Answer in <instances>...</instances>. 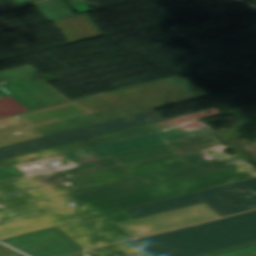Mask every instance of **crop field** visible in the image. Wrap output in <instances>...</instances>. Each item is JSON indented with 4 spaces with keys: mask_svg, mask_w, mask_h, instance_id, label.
Returning a JSON list of instances; mask_svg holds the SVG:
<instances>
[{
    "mask_svg": "<svg viewBox=\"0 0 256 256\" xmlns=\"http://www.w3.org/2000/svg\"><path fill=\"white\" fill-rule=\"evenodd\" d=\"M212 134L166 144L133 153L76 165L60 172L71 179L60 183L2 197L0 209L23 205L87 188L109 184L142 175L161 172L189 164L179 155L192 150L220 144ZM51 187L58 188L57 194ZM55 188V189H56ZM50 189V190H49Z\"/></svg>",
    "mask_w": 256,
    "mask_h": 256,
    "instance_id": "crop-field-1",
    "label": "crop field"
},
{
    "mask_svg": "<svg viewBox=\"0 0 256 256\" xmlns=\"http://www.w3.org/2000/svg\"><path fill=\"white\" fill-rule=\"evenodd\" d=\"M256 177L249 163L0 225V240Z\"/></svg>",
    "mask_w": 256,
    "mask_h": 256,
    "instance_id": "crop-field-2",
    "label": "crop field"
},
{
    "mask_svg": "<svg viewBox=\"0 0 256 256\" xmlns=\"http://www.w3.org/2000/svg\"><path fill=\"white\" fill-rule=\"evenodd\" d=\"M229 148H231L237 154L232 156L226 155L223 150ZM181 156L191 166L142 176L19 207L2 210L0 211V224L52 210L70 207L67 204L72 202L78 205L251 161V159L241 149L233 144L228 146H224L223 144H221L181 154Z\"/></svg>",
    "mask_w": 256,
    "mask_h": 256,
    "instance_id": "crop-field-3",
    "label": "crop field"
},
{
    "mask_svg": "<svg viewBox=\"0 0 256 256\" xmlns=\"http://www.w3.org/2000/svg\"><path fill=\"white\" fill-rule=\"evenodd\" d=\"M256 241V211L135 240L152 256H197Z\"/></svg>",
    "mask_w": 256,
    "mask_h": 256,
    "instance_id": "crop-field-4",
    "label": "crop field"
},
{
    "mask_svg": "<svg viewBox=\"0 0 256 256\" xmlns=\"http://www.w3.org/2000/svg\"><path fill=\"white\" fill-rule=\"evenodd\" d=\"M206 129H198L184 133L178 126H173L57 156L3 168L5 170L28 177L30 175L52 171L84 162L133 152L166 143H172L188 138L209 134ZM58 160L59 166H51L47 162Z\"/></svg>",
    "mask_w": 256,
    "mask_h": 256,
    "instance_id": "crop-field-5",
    "label": "crop field"
},
{
    "mask_svg": "<svg viewBox=\"0 0 256 256\" xmlns=\"http://www.w3.org/2000/svg\"><path fill=\"white\" fill-rule=\"evenodd\" d=\"M252 195L251 198H246ZM256 198V178L195 193L192 195L127 210L135 219L181 208L198 203L205 202L221 217L255 209L256 202L244 206L237 207L236 205L244 204L243 202L249 199ZM256 201V200H254ZM253 202V201H250ZM249 203V202H246ZM255 206V207H251ZM251 207V208H248Z\"/></svg>",
    "mask_w": 256,
    "mask_h": 256,
    "instance_id": "crop-field-6",
    "label": "crop field"
},
{
    "mask_svg": "<svg viewBox=\"0 0 256 256\" xmlns=\"http://www.w3.org/2000/svg\"><path fill=\"white\" fill-rule=\"evenodd\" d=\"M157 113L150 111L30 141L0 147V160L13 158L53 147H58L90 138H95L127 129L164 121Z\"/></svg>",
    "mask_w": 256,
    "mask_h": 256,
    "instance_id": "crop-field-7",
    "label": "crop field"
},
{
    "mask_svg": "<svg viewBox=\"0 0 256 256\" xmlns=\"http://www.w3.org/2000/svg\"><path fill=\"white\" fill-rule=\"evenodd\" d=\"M0 119L67 102L35 77L0 85Z\"/></svg>",
    "mask_w": 256,
    "mask_h": 256,
    "instance_id": "crop-field-8",
    "label": "crop field"
},
{
    "mask_svg": "<svg viewBox=\"0 0 256 256\" xmlns=\"http://www.w3.org/2000/svg\"><path fill=\"white\" fill-rule=\"evenodd\" d=\"M133 219L128 213L122 211L58 228L74 240L82 249L87 250L131 239L132 237L115 224Z\"/></svg>",
    "mask_w": 256,
    "mask_h": 256,
    "instance_id": "crop-field-9",
    "label": "crop field"
},
{
    "mask_svg": "<svg viewBox=\"0 0 256 256\" xmlns=\"http://www.w3.org/2000/svg\"><path fill=\"white\" fill-rule=\"evenodd\" d=\"M219 217L210 207L202 203L118 224L117 226L133 238H136Z\"/></svg>",
    "mask_w": 256,
    "mask_h": 256,
    "instance_id": "crop-field-10",
    "label": "crop field"
},
{
    "mask_svg": "<svg viewBox=\"0 0 256 256\" xmlns=\"http://www.w3.org/2000/svg\"><path fill=\"white\" fill-rule=\"evenodd\" d=\"M3 242L31 256H66L83 251L55 228L3 240Z\"/></svg>",
    "mask_w": 256,
    "mask_h": 256,
    "instance_id": "crop-field-11",
    "label": "crop field"
},
{
    "mask_svg": "<svg viewBox=\"0 0 256 256\" xmlns=\"http://www.w3.org/2000/svg\"><path fill=\"white\" fill-rule=\"evenodd\" d=\"M168 126H172V124L167 121H164V122H160V123H156V124L132 129V130H127V131H123V132H119V133H115V134H111V135H107V136H103L95 139H90V140H86V141H82V142H78V143H74V144H70V145H66L58 148H53V149L21 156L13 159H8V160L0 161V168L28 162L32 158H43V157H47V156H51L59 153H64V152L112 141V140H116L124 137L168 127Z\"/></svg>",
    "mask_w": 256,
    "mask_h": 256,
    "instance_id": "crop-field-12",
    "label": "crop field"
},
{
    "mask_svg": "<svg viewBox=\"0 0 256 256\" xmlns=\"http://www.w3.org/2000/svg\"><path fill=\"white\" fill-rule=\"evenodd\" d=\"M49 177H51V175L48 172L20 180L1 183L0 196L43 185L48 182Z\"/></svg>",
    "mask_w": 256,
    "mask_h": 256,
    "instance_id": "crop-field-13",
    "label": "crop field"
},
{
    "mask_svg": "<svg viewBox=\"0 0 256 256\" xmlns=\"http://www.w3.org/2000/svg\"><path fill=\"white\" fill-rule=\"evenodd\" d=\"M89 253L92 256H151L133 241Z\"/></svg>",
    "mask_w": 256,
    "mask_h": 256,
    "instance_id": "crop-field-14",
    "label": "crop field"
},
{
    "mask_svg": "<svg viewBox=\"0 0 256 256\" xmlns=\"http://www.w3.org/2000/svg\"><path fill=\"white\" fill-rule=\"evenodd\" d=\"M39 71H37L35 68L32 66H24L4 72H0V84L10 82V81H15L27 77H32L36 75H40Z\"/></svg>",
    "mask_w": 256,
    "mask_h": 256,
    "instance_id": "crop-field-15",
    "label": "crop field"
},
{
    "mask_svg": "<svg viewBox=\"0 0 256 256\" xmlns=\"http://www.w3.org/2000/svg\"><path fill=\"white\" fill-rule=\"evenodd\" d=\"M201 256H256V242Z\"/></svg>",
    "mask_w": 256,
    "mask_h": 256,
    "instance_id": "crop-field-16",
    "label": "crop field"
},
{
    "mask_svg": "<svg viewBox=\"0 0 256 256\" xmlns=\"http://www.w3.org/2000/svg\"><path fill=\"white\" fill-rule=\"evenodd\" d=\"M179 127L184 132L194 130V129H198V128H202V126L200 124H198L196 121L190 122V123H187V124H183V125H179Z\"/></svg>",
    "mask_w": 256,
    "mask_h": 256,
    "instance_id": "crop-field-17",
    "label": "crop field"
},
{
    "mask_svg": "<svg viewBox=\"0 0 256 256\" xmlns=\"http://www.w3.org/2000/svg\"><path fill=\"white\" fill-rule=\"evenodd\" d=\"M79 256H88L87 254H82V255H79Z\"/></svg>",
    "mask_w": 256,
    "mask_h": 256,
    "instance_id": "crop-field-18",
    "label": "crop field"
}]
</instances>
